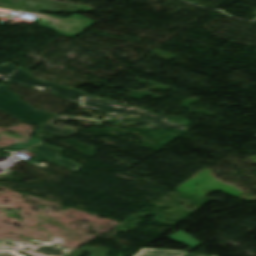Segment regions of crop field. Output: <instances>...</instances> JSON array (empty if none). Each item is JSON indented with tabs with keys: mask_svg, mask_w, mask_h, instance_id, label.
I'll return each mask as SVG.
<instances>
[{
	"mask_svg": "<svg viewBox=\"0 0 256 256\" xmlns=\"http://www.w3.org/2000/svg\"><path fill=\"white\" fill-rule=\"evenodd\" d=\"M82 106L95 108L102 111L118 120L131 121L143 124L149 128L157 129H184L188 130L190 121L183 118H178L174 116L163 117L154 114L150 111L139 109L132 106L121 105L106 100L98 99L95 97L88 96L85 99L78 102ZM168 119H176L183 124L177 125L167 122Z\"/></svg>",
	"mask_w": 256,
	"mask_h": 256,
	"instance_id": "crop-field-1",
	"label": "crop field"
},
{
	"mask_svg": "<svg viewBox=\"0 0 256 256\" xmlns=\"http://www.w3.org/2000/svg\"><path fill=\"white\" fill-rule=\"evenodd\" d=\"M0 108L7 113L27 122L41 126L55 114L38 111L33 106L19 100L18 96L7 90V86H0Z\"/></svg>",
	"mask_w": 256,
	"mask_h": 256,
	"instance_id": "crop-field-2",
	"label": "crop field"
},
{
	"mask_svg": "<svg viewBox=\"0 0 256 256\" xmlns=\"http://www.w3.org/2000/svg\"><path fill=\"white\" fill-rule=\"evenodd\" d=\"M66 250L67 248L53 242L46 244L35 240L26 246H20L8 239L0 243V256H64L69 253ZM5 251H9L11 255Z\"/></svg>",
	"mask_w": 256,
	"mask_h": 256,
	"instance_id": "crop-field-3",
	"label": "crop field"
},
{
	"mask_svg": "<svg viewBox=\"0 0 256 256\" xmlns=\"http://www.w3.org/2000/svg\"><path fill=\"white\" fill-rule=\"evenodd\" d=\"M6 80L12 82H19L21 84L37 88L41 91L49 88L53 90L54 94L75 102H78L88 96V94L82 92L81 90L63 87L37 79L21 68L11 74Z\"/></svg>",
	"mask_w": 256,
	"mask_h": 256,
	"instance_id": "crop-field-4",
	"label": "crop field"
},
{
	"mask_svg": "<svg viewBox=\"0 0 256 256\" xmlns=\"http://www.w3.org/2000/svg\"><path fill=\"white\" fill-rule=\"evenodd\" d=\"M37 146V145H36ZM30 149V148H29ZM50 160H53L73 171L77 170L78 168H80L82 165L72 161V160H68V159H62L60 157V152L62 151V149H59L57 147L51 146L49 144L43 143L37 147H34L32 149H30Z\"/></svg>",
	"mask_w": 256,
	"mask_h": 256,
	"instance_id": "crop-field-5",
	"label": "crop field"
},
{
	"mask_svg": "<svg viewBox=\"0 0 256 256\" xmlns=\"http://www.w3.org/2000/svg\"><path fill=\"white\" fill-rule=\"evenodd\" d=\"M188 252L165 250V249H151L143 248L134 256H185Z\"/></svg>",
	"mask_w": 256,
	"mask_h": 256,
	"instance_id": "crop-field-6",
	"label": "crop field"
},
{
	"mask_svg": "<svg viewBox=\"0 0 256 256\" xmlns=\"http://www.w3.org/2000/svg\"><path fill=\"white\" fill-rule=\"evenodd\" d=\"M58 119H83V120H89V121H95V122L99 121V120H95V119H87V118L59 115L56 118H54L53 120H51L50 122H52L54 120H58ZM50 122H48L47 124L43 125L41 127V129L46 130L48 132H52V133L62 134V135H68V134L74 132V130H70V129H66V128H61V127H56V126L49 125Z\"/></svg>",
	"mask_w": 256,
	"mask_h": 256,
	"instance_id": "crop-field-7",
	"label": "crop field"
},
{
	"mask_svg": "<svg viewBox=\"0 0 256 256\" xmlns=\"http://www.w3.org/2000/svg\"><path fill=\"white\" fill-rule=\"evenodd\" d=\"M169 237H171L177 241H181L193 249L198 247L199 245L203 244L182 230L169 236Z\"/></svg>",
	"mask_w": 256,
	"mask_h": 256,
	"instance_id": "crop-field-8",
	"label": "crop field"
},
{
	"mask_svg": "<svg viewBox=\"0 0 256 256\" xmlns=\"http://www.w3.org/2000/svg\"><path fill=\"white\" fill-rule=\"evenodd\" d=\"M84 251L92 254L90 256H107L106 253L109 252L110 249L84 246V247L76 250L75 252L71 253L68 256H81L82 252H84Z\"/></svg>",
	"mask_w": 256,
	"mask_h": 256,
	"instance_id": "crop-field-9",
	"label": "crop field"
},
{
	"mask_svg": "<svg viewBox=\"0 0 256 256\" xmlns=\"http://www.w3.org/2000/svg\"><path fill=\"white\" fill-rule=\"evenodd\" d=\"M19 69L8 63L0 64V79L5 80L11 73Z\"/></svg>",
	"mask_w": 256,
	"mask_h": 256,
	"instance_id": "crop-field-10",
	"label": "crop field"
},
{
	"mask_svg": "<svg viewBox=\"0 0 256 256\" xmlns=\"http://www.w3.org/2000/svg\"><path fill=\"white\" fill-rule=\"evenodd\" d=\"M186 256H209V255H197V254H188Z\"/></svg>",
	"mask_w": 256,
	"mask_h": 256,
	"instance_id": "crop-field-11",
	"label": "crop field"
}]
</instances>
